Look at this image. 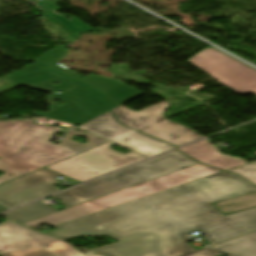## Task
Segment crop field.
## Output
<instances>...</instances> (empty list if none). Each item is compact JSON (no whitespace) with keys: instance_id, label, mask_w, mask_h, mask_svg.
Returning a JSON list of instances; mask_svg holds the SVG:
<instances>
[{"instance_id":"crop-field-1","label":"crop field","mask_w":256,"mask_h":256,"mask_svg":"<svg viewBox=\"0 0 256 256\" xmlns=\"http://www.w3.org/2000/svg\"><path fill=\"white\" fill-rule=\"evenodd\" d=\"M217 202L195 181L57 226L46 235L64 240L109 235L119 243L91 249L104 256H182L195 249L187 232L198 230L211 243L256 230V208L223 216ZM162 207L152 209L155 205Z\"/></svg>"},{"instance_id":"crop-field-2","label":"crop field","mask_w":256,"mask_h":256,"mask_svg":"<svg viewBox=\"0 0 256 256\" xmlns=\"http://www.w3.org/2000/svg\"><path fill=\"white\" fill-rule=\"evenodd\" d=\"M0 121V170L17 177L77 154L48 142L59 127Z\"/></svg>"},{"instance_id":"crop-field-3","label":"crop field","mask_w":256,"mask_h":256,"mask_svg":"<svg viewBox=\"0 0 256 256\" xmlns=\"http://www.w3.org/2000/svg\"><path fill=\"white\" fill-rule=\"evenodd\" d=\"M6 80L15 86L25 85L50 92L61 91V94H51L46 98V101L51 107L48 113L32 111L30 112L31 115L81 125L111 110L110 107L84 87L70 82L48 70L11 77ZM52 81H57L60 85H51ZM67 88H70V90L65 91ZM55 99L62 100V106L53 104L52 100Z\"/></svg>"},{"instance_id":"crop-field-4","label":"crop field","mask_w":256,"mask_h":256,"mask_svg":"<svg viewBox=\"0 0 256 256\" xmlns=\"http://www.w3.org/2000/svg\"><path fill=\"white\" fill-rule=\"evenodd\" d=\"M218 172L221 171L203 164L194 165L22 224L31 228L42 223L54 226Z\"/></svg>"},{"instance_id":"crop-field-5","label":"crop field","mask_w":256,"mask_h":256,"mask_svg":"<svg viewBox=\"0 0 256 256\" xmlns=\"http://www.w3.org/2000/svg\"><path fill=\"white\" fill-rule=\"evenodd\" d=\"M198 164L175 150L104 178L53 196L64 208L121 190L123 188L159 177L175 170Z\"/></svg>"},{"instance_id":"crop-field-6","label":"crop field","mask_w":256,"mask_h":256,"mask_svg":"<svg viewBox=\"0 0 256 256\" xmlns=\"http://www.w3.org/2000/svg\"><path fill=\"white\" fill-rule=\"evenodd\" d=\"M112 145L114 144L108 142L46 168L83 182L145 158L134 153H118L111 149Z\"/></svg>"},{"instance_id":"crop-field-7","label":"crop field","mask_w":256,"mask_h":256,"mask_svg":"<svg viewBox=\"0 0 256 256\" xmlns=\"http://www.w3.org/2000/svg\"><path fill=\"white\" fill-rule=\"evenodd\" d=\"M169 105V102L163 101L138 112L121 105L111 111L122 125L137 129L177 146L204 138L196 134L194 130L165 120L161 114Z\"/></svg>"},{"instance_id":"crop-field-8","label":"crop field","mask_w":256,"mask_h":256,"mask_svg":"<svg viewBox=\"0 0 256 256\" xmlns=\"http://www.w3.org/2000/svg\"><path fill=\"white\" fill-rule=\"evenodd\" d=\"M188 62L232 90L256 82V70L246 68V65L213 48L200 51Z\"/></svg>"},{"instance_id":"crop-field-9","label":"crop field","mask_w":256,"mask_h":256,"mask_svg":"<svg viewBox=\"0 0 256 256\" xmlns=\"http://www.w3.org/2000/svg\"><path fill=\"white\" fill-rule=\"evenodd\" d=\"M77 128L96 133L115 143L123 144L126 148L147 157H152L175 148L119 125L110 111Z\"/></svg>"},{"instance_id":"crop-field-10","label":"crop field","mask_w":256,"mask_h":256,"mask_svg":"<svg viewBox=\"0 0 256 256\" xmlns=\"http://www.w3.org/2000/svg\"><path fill=\"white\" fill-rule=\"evenodd\" d=\"M60 174L43 168L0 186V203L12 209L60 191L53 184Z\"/></svg>"},{"instance_id":"crop-field-11","label":"crop field","mask_w":256,"mask_h":256,"mask_svg":"<svg viewBox=\"0 0 256 256\" xmlns=\"http://www.w3.org/2000/svg\"><path fill=\"white\" fill-rule=\"evenodd\" d=\"M35 245L42 246L58 256H101L93 252L84 255L64 241L29 230L9 221L0 224V252Z\"/></svg>"},{"instance_id":"crop-field-12","label":"crop field","mask_w":256,"mask_h":256,"mask_svg":"<svg viewBox=\"0 0 256 256\" xmlns=\"http://www.w3.org/2000/svg\"><path fill=\"white\" fill-rule=\"evenodd\" d=\"M67 51L65 47L59 46L54 50L47 51L44 55H42L40 58H38L36 63L48 68L49 70L75 82L78 83L85 88H87L89 91H91L96 96L103 94L107 91H110L112 89H115L119 86H122L124 84L118 83L116 81L104 79V78H98L89 76L86 79H81L78 76H76L73 73L68 72V70L62 66H58L54 64L57 60L67 55Z\"/></svg>"},{"instance_id":"crop-field-13","label":"crop field","mask_w":256,"mask_h":256,"mask_svg":"<svg viewBox=\"0 0 256 256\" xmlns=\"http://www.w3.org/2000/svg\"><path fill=\"white\" fill-rule=\"evenodd\" d=\"M218 201L256 191L246 180L223 172L196 181Z\"/></svg>"},{"instance_id":"crop-field-14","label":"crop field","mask_w":256,"mask_h":256,"mask_svg":"<svg viewBox=\"0 0 256 256\" xmlns=\"http://www.w3.org/2000/svg\"><path fill=\"white\" fill-rule=\"evenodd\" d=\"M179 150L203 164L222 170L246 164V162L240 159L223 156L217 150H215L207 140L195 143Z\"/></svg>"},{"instance_id":"crop-field-15","label":"crop field","mask_w":256,"mask_h":256,"mask_svg":"<svg viewBox=\"0 0 256 256\" xmlns=\"http://www.w3.org/2000/svg\"><path fill=\"white\" fill-rule=\"evenodd\" d=\"M213 249L221 255L256 256V233L216 245Z\"/></svg>"},{"instance_id":"crop-field-16","label":"crop field","mask_w":256,"mask_h":256,"mask_svg":"<svg viewBox=\"0 0 256 256\" xmlns=\"http://www.w3.org/2000/svg\"><path fill=\"white\" fill-rule=\"evenodd\" d=\"M58 211L39 201L15 211L3 214L7 219L22 223Z\"/></svg>"},{"instance_id":"crop-field-17","label":"crop field","mask_w":256,"mask_h":256,"mask_svg":"<svg viewBox=\"0 0 256 256\" xmlns=\"http://www.w3.org/2000/svg\"><path fill=\"white\" fill-rule=\"evenodd\" d=\"M223 215L256 207V192L211 204Z\"/></svg>"},{"instance_id":"crop-field-18","label":"crop field","mask_w":256,"mask_h":256,"mask_svg":"<svg viewBox=\"0 0 256 256\" xmlns=\"http://www.w3.org/2000/svg\"><path fill=\"white\" fill-rule=\"evenodd\" d=\"M140 94H142V92L137 91L127 85H124L115 90L100 95L98 96V98H100L111 108H114Z\"/></svg>"},{"instance_id":"crop-field-19","label":"crop field","mask_w":256,"mask_h":256,"mask_svg":"<svg viewBox=\"0 0 256 256\" xmlns=\"http://www.w3.org/2000/svg\"><path fill=\"white\" fill-rule=\"evenodd\" d=\"M84 134H85V132L71 130L66 135V137L62 140V142L59 143L58 145L68 148L70 150H73L77 153H80L82 151L88 150L90 148L96 147L98 145H101V144L107 142L106 140H103V139L96 137L94 135H91V134H87L85 136V137L89 138L88 140H86V141H88L87 144H79L77 142L70 140L74 135L83 136Z\"/></svg>"},{"instance_id":"crop-field-20","label":"crop field","mask_w":256,"mask_h":256,"mask_svg":"<svg viewBox=\"0 0 256 256\" xmlns=\"http://www.w3.org/2000/svg\"><path fill=\"white\" fill-rule=\"evenodd\" d=\"M256 185V163L229 170Z\"/></svg>"},{"instance_id":"crop-field-21","label":"crop field","mask_w":256,"mask_h":256,"mask_svg":"<svg viewBox=\"0 0 256 256\" xmlns=\"http://www.w3.org/2000/svg\"><path fill=\"white\" fill-rule=\"evenodd\" d=\"M0 256H54V255L42 248L33 247L29 249L1 254Z\"/></svg>"},{"instance_id":"crop-field-22","label":"crop field","mask_w":256,"mask_h":256,"mask_svg":"<svg viewBox=\"0 0 256 256\" xmlns=\"http://www.w3.org/2000/svg\"><path fill=\"white\" fill-rule=\"evenodd\" d=\"M41 69H45L37 64H32V65H27V66H24L23 69L21 71H18V72H12L11 74H9L8 76L10 75H15V74H20V73H25V72H31V71H36V70H41Z\"/></svg>"},{"instance_id":"crop-field-23","label":"crop field","mask_w":256,"mask_h":256,"mask_svg":"<svg viewBox=\"0 0 256 256\" xmlns=\"http://www.w3.org/2000/svg\"><path fill=\"white\" fill-rule=\"evenodd\" d=\"M214 255H217V254L213 250H211L210 247H208L185 256H214Z\"/></svg>"},{"instance_id":"crop-field-24","label":"crop field","mask_w":256,"mask_h":256,"mask_svg":"<svg viewBox=\"0 0 256 256\" xmlns=\"http://www.w3.org/2000/svg\"><path fill=\"white\" fill-rule=\"evenodd\" d=\"M240 95H243V94H246V93H253V94H256V83L254 84H251L249 86H246L242 89H239V90H236L234 91Z\"/></svg>"},{"instance_id":"crop-field-25","label":"crop field","mask_w":256,"mask_h":256,"mask_svg":"<svg viewBox=\"0 0 256 256\" xmlns=\"http://www.w3.org/2000/svg\"><path fill=\"white\" fill-rule=\"evenodd\" d=\"M12 178H14V177H12L10 175H7V174H4V175L0 176V183H3V182H5L7 180H10Z\"/></svg>"},{"instance_id":"crop-field-26","label":"crop field","mask_w":256,"mask_h":256,"mask_svg":"<svg viewBox=\"0 0 256 256\" xmlns=\"http://www.w3.org/2000/svg\"><path fill=\"white\" fill-rule=\"evenodd\" d=\"M5 210H8V209L0 205V212L5 211Z\"/></svg>"},{"instance_id":"crop-field-27","label":"crop field","mask_w":256,"mask_h":256,"mask_svg":"<svg viewBox=\"0 0 256 256\" xmlns=\"http://www.w3.org/2000/svg\"><path fill=\"white\" fill-rule=\"evenodd\" d=\"M253 154H255V155H256V153H253Z\"/></svg>"}]
</instances>
